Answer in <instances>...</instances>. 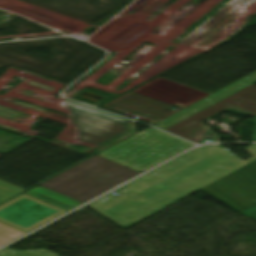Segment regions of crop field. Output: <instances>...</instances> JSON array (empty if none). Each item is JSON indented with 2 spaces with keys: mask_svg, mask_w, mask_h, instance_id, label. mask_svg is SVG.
I'll use <instances>...</instances> for the list:
<instances>
[{
  "mask_svg": "<svg viewBox=\"0 0 256 256\" xmlns=\"http://www.w3.org/2000/svg\"><path fill=\"white\" fill-rule=\"evenodd\" d=\"M66 211L23 194L0 206V222L27 232Z\"/></svg>",
  "mask_w": 256,
  "mask_h": 256,
  "instance_id": "f4fd0767",
  "label": "crop field"
},
{
  "mask_svg": "<svg viewBox=\"0 0 256 256\" xmlns=\"http://www.w3.org/2000/svg\"><path fill=\"white\" fill-rule=\"evenodd\" d=\"M0 256H59L46 249H32L16 251L13 249L5 248L0 251Z\"/></svg>",
  "mask_w": 256,
  "mask_h": 256,
  "instance_id": "3316defc",
  "label": "crop field"
},
{
  "mask_svg": "<svg viewBox=\"0 0 256 256\" xmlns=\"http://www.w3.org/2000/svg\"><path fill=\"white\" fill-rule=\"evenodd\" d=\"M109 105L157 120L167 114L169 112L165 111L168 110L170 112H173L175 110H172V106L149 99L134 93H131Z\"/></svg>",
  "mask_w": 256,
  "mask_h": 256,
  "instance_id": "e52e79f7",
  "label": "crop field"
},
{
  "mask_svg": "<svg viewBox=\"0 0 256 256\" xmlns=\"http://www.w3.org/2000/svg\"><path fill=\"white\" fill-rule=\"evenodd\" d=\"M24 193L28 194L30 196L39 198L41 200L50 202L52 204L58 205V206L63 207L67 210H71V209H73L76 206L81 204L77 201H74L70 198H67L63 195H60L58 193L52 192L50 190L44 189V188L39 187V186H35L32 189H30V190H28Z\"/></svg>",
  "mask_w": 256,
  "mask_h": 256,
  "instance_id": "5a996713",
  "label": "crop field"
},
{
  "mask_svg": "<svg viewBox=\"0 0 256 256\" xmlns=\"http://www.w3.org/2000/svg\"><path fill=\"white\" fill-rule=\"evenodd\" d=\"M241 214H244L246 216H249V217H252V218L256 219V205L248 208L247 210H245Z\"/></svg>",
  "mask_w": 256,
  "mask_h": 256,
  "instance_id": "22f410ed",
  "label": "crop field"
},
{
  "mask_svg": "<svg viewBox=\"0 0 256 256\" xmlns=\"http://www.w3.org/2000/svg\"><path fill=\"white\" fill-rule=\"evenodd\" d=\"M191 146L149 127L39 186L84 203Z\"/></svg>",
  "mask_w": 256,
  "mask_h": 256,
  "instance_id": "ac0d7876",
  "label": "crop field"
},
{
  "mask_svg": "<svg viewBox=\"0 0 256 256\" xmlns=\"http://www.w3.org/2000/svg\"><path fill=\"white\" fill-rule=\"evenodd\" d=\"M255 81L256 71L156 125L196 143L215 142V138L203 137L202 134L211 131L202 124V120L227 107L250 116L256 115V86L252 84ZM196 128L200 129L189 136L185 135Z\"/></svg>",
  "mask_w": 256,
  "mask_h": 256,
  "instance_id": "34b2d1b8",
  "label": "crop field"
},
{
  "mask_svg": "<svg viewBox=\"0 0 256 256\" xmlns=\"http://www.w3.org/2000/svg\"><path fill=\"white\" fill-rule=\"evenodd\" d=\"M246 1L247 0H232L180 43L192 46Z\"/></svg>",
  "mask_w": 256,
  "mask_h": 256,
  "instance_id": "d8731c3e",
  "label": "crop field"
},
{
  "mask_svg": "<svg viewBox=\"0 0 256 256\" xmlns=\"http://www.w3.org/2000/svg\"><path fill=\"white\" fill-rule=\"evenodd\" d=\"M244 161L218 146L193 149L87 205L126 228L256 159V144Z\"/></svg>",
  "mask_w": 256,
  "mask_h": 256,
  "instance_id": "8a807250",
  "label": "crop field"
},
{
  "mask_svg": "<svg viewBox=\"0 0 256 256\" xmlns=\"http://www.w3.org/2000/svg\"><path fill=\"white\" fill-rule=\"evenodd\" d=\"M201 190L234 211L242 212L256 204L253 200H256V160Z\"/></svg>",
  "mask_w": 256,
  "mask_h": 256,
  "instance_id": "412701ff",
  "label": "crop field"
},
{
  "mask_svg": "<svg viewBox=\"0 0 256 256\" xmlns=\"http://www.w3.org/2000/svg\"><path fill=\"white\" fill-rule=\"evenodd\" d=\"M63 104L79 119L84 129L82 142L98 146L126 131L129 121L68 101Z\"/></svg>",
  "mask_w": 256,
  "mask_h": 256,
  "instance_id": "dd49c442",
  "label": "crop field"
},
{
  "mask_svg": "<svg viewBox=\"0 0 256 256\" xmlns=\"http://www.w3.org/2000/svg\"><path fill=\"white\" fill-rule=\"evenodd\" d=\"M25 232L0 223V246L19 237Z\"/></svg>",
  "mask_w": 256,
  "mask_h": 256,
  "instance_id": "28ad6ade",
  "label": "crop field"
},
{
  "mask_svg": "<svg viewBox=\"0 0 256 256\" xmlns=\"http://www.w3.org/2000/svg\"><path fill=\"white\" fill-rule=\"evenodd\" d=\"M25 189L17 187L0 180V203L24 191Z\"/></svg>",
  "mask_w": 256,
  "mask_h": 256,
  "instance_id": "d1516ede",
  "label": "crop field"
}]
</instances>
